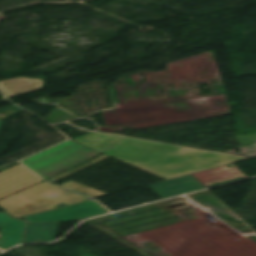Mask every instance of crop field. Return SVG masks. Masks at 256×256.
Wrapping results in <instances>:
<instances>
[{
  "label": "crop field",
  "mask_w": 256,
  "mask_h": 256,
  "mask_svg": "<svg viewBox=\"0 0 256 256\" xmlns=\"http://www.w3.org/2000/svg\"><path fill=\"white\" fill-rule=\"evenodd\" d=\"M58 224H27L23 242H48L54 240ZM36 238L39 241H35Z\"/></svg>",
  "instance_id": "5a996713"
},
{
  "label": "crop field",
  "mask_w": 256,
  "mask_h": 256,
  "mask_svg": "<svg viewBox=\"0 0 256 256\" xmlns=\"http://www.w3.org/2000/svg\"><path fill=\"white\" fill-rule=\"evenodd\" d=\"M108 213L95 201H85L48 212L26 216L29 222L69 221Z\"/></svg>",
  "instance_id": "f4fd0767"
},
{
  "label": "crop field",
  "mask_w": 256,
  "mask_h": 256,
  "mask_svg": "<svg viewBox=\"0 0 256 256\" xmlns=\"http://www.w3.org/2000/svg\"><path fill=\"white\" fill-rule=\"evenodd\" d=\"M54 186L48 184V183H45V182H42L36 186H33L29 189H26L22 192H20V194H22L24 197H26L27 199H31L51 188H53Z\"/></svg>",
  "instance_id": "28ad6ade"
},
{
  "label": "crop field",
  "mask_w": 256,
  "mask_h": 256,
  "mask_svg": "<svg viewBox=\"0 0 256 256\" xmlns=\"http://www.w3.org/2000/svg\"><path fill=\"white\" fill-rule=\"evenodd\" d=\"M191 176L188 175L168 180L158 184L150 185V187L162 199L204 188V186H202Z\"/></svg>",
  "instance_id": "e52e79f7"
},
{
  "label": "crop field",
  "mask_w": 256,
  "mask_h": 256,
  "mask_svg": "<svg viewBox=\"0 0 256 256\" xmlns=\"http://www.w3.org/2000/svg\"><path fill=\"white\" fill-rule=\"evenodd\" d=\"M2 121H0V124H1Z\"/></svg>",
  "instance_id": "cbeb9de0"
},
{
  "label": "crop field",
  "mask_w": 256,
  "mask_h": 256,
  "mask_svg": "<svg viewBox=\"0 0 256 256\" xmlns=\"http://www.w3.org/2000/svg\"><path fill=\"white\" fill-rule=\"evenodd\" d=\"M5 213H0V249L2 251L21 243L26 228V222L15 220Z\"/></svg>",
  "instance_id": "dd49c442"
},
{
  "label": "crop field",
  "mask_w": 256,
  "mask_h": 256,
  "mask_svg": "<svg viewBox=\"0 0 256 256\" xmlns=\"http://www.w3.org/2000/svg\"><path fill=\"white\" fill-rule=\"evenodd\" d=\"M18 191L0 176V198Z\"/></svg>",
  "instance_id": "22f410ed"
},
{
  "label": "crop field",
  "mask_w": 256,
  "mask_h": 256,
  "mask_svg": "<svg viewBox=\"0 0 256 256\" xmlns=\"http://www.w3.org/2000/svg\"><path fill=\"white\" fill-rule=\"evenodd\" d=\"M60 186L66 187L68 189H71V190H74V191H77V192H80V193H83V194H86V195L94 197V198L101 197V196H104V195H108V194H105V193L99 192L97 190L79 185V184L71 182V181L63 183Z\"/></svg>",
  "instance_id": "3316defc"
},
{
  "label": "crop field",
  "mask_w": 256,
  "mask_h": 256,
  "mask_svg": "<svg viewBox=\"0 0 256 256\" xmlns=\"http://www.w3.org/2000/svg\"><path fill=\"white\" fill-rule=\"evenodd\" d=\"M74 143L76 142L72 140L67 141L59 147L55 146L29 157L22 163L47 179L100 155L96 151L85 150L86 147Z\"/></svg>",
  "instance_id": "34b2d1b8"
},
{
  "label": "crop field",
  "mask_w": 256,
  "mask_h": 256,
  "mask_svg": "<svg viewBox=\"0 0 256 256\" xmlns=\"http://www.w3.org/2000/svg\"><path fill=\"white\" fill-rule=\"evenodd\" d=\"M0 175L18 190L42 181L21 164L1 172Z\"/></svg>",
  "instance_id": "d8731c3e"
},
{
  "label": "crop field",
  "mask_w": 256,
  "mask_h": 256,
  "mask_svg": "<svg viewBox=\"0 0 256 256\" xmlns=\"http://www.w3.org/2000/svg\"><path fill=\"white\" fill-rule=\"evenodd\" d=\"M114 158L144 163L172 155L179 146L159 144L101 133H87L73 139Z\"/></svg>",
  "instance_id": "8a807250"
},
{
  "label": "crop field",
  "mask_w": 256,
  "mask_h": 256,
  "mask_svg": "<svg viewBox=\"0 0 256 256\" xmlns=\"http://www.w3.org/2000/svg\"><path fill=\"white\" fill-rule=\"evenodd\" d=\"M107 157H109V156H106V155L102 154L99 158H97V159H95V160H93V161H90V162H88V163H86V164H83V165H81V166H78V167H76V168H73V169H71V170H69V171H67V172H65V173H63V174H61V175H59V176H57V177H55V178H52V179H50V180H48V181H49V182L57 181V180H59V179L65 177V176H67V175H70V174H72V173H74V172H76V171H78V170H80V169H83V168H85V167H87V166H89V165H92V164H94V163H96V162H98V161H100V160H103V159H105V158H107ZM80 171H81V170H80Z\"/></svg>",
  "instance_id": "d1516ede"
},
{
  "label": "crop field",
  "mask_w": 256,
  "mask_h": 256,
  "mask_svg": "<svg viewBox=\"0 0 256 256\" xmlns=\"http://www.w3.org/2000/svg\"><path fill=\"white\" fill-rule=\"evenodd\" d=\"M241 159L243 158L181 147L170 157L144 164L122 161L168 180Z\"/></svg>",
  "instance_id": "ac0d7876"
},
{
  "label": "crop field",
  "mask_w": 256,
  "mask_h": 256,
  "mask_svg": "<svg viewBox=\"0 0 256 256\" xmlns=\"http://www.w3.org/2000/svg\"><path fill=\"white\" fill-rule=\"evenodd\" d=\"M89 198L68 192L61 188H54L31 200H27L19 193L0 200V208L18 218L34 213L55 209L60 204H76Z\"/></svg>",
  "instance_id": "412701ff"
}]
</instances>
